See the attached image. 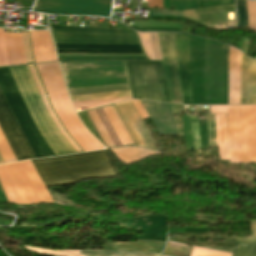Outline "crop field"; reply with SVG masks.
<instances>
[{"label":"crop field","instance_id":"obj_1","mask_svg":"<svg viewBox=\"0 0 256 256\" xmlns=\"http://www.w3.org/2000/svg\"><path fill=\"white\" fill-rule=\"evenodd\" d=\"M31 162L45 187L70 185L91 178L119 177L107 150Z\"/></svg>","mask_w":256,"mask_h":256},{"label":"crop field","instance_id":"obj_2","mask_svg":"<svg viewBox=\"0 0 256 256\" xmlns=\"http://www.w3.org/2000/svg\"><path fill=\"white\" fill-rule=\"evenodd\" d=\"M33 67V66H32ZM32 67L30 66V70L31 73L33 75V78L35 80V83L37 85L38 91L40 93V96L42 98V101L44 103V106L47 110V112L49 113L50 117L52 118V120L54 121L55 125L57 126V128L59 129L60 133L64 136V138L69 142V144L74 148V150L76 152H79V148L78 146L69 138V136L64 132L62 126L60 125L59 121L57 120L55 114L53 113L48 100L46 98V95L43 91V88L41 86V83L38 79H37L40 83V86L42 88V91L45 95V98L47 100V103L52 111V113L54 114L56 120L58 121L59 125L61 126L63 132L68 136V138L77 146H76L67 138V136L62 132L61 128L59 127L57 121L55 120L54 116L52 115L46 100L44 98V95L41 91V88L39 86V83L36 79V76L34 74V71L32 69ZM28 67L26 66H17V67H9V70L14 78V81L19 89V92L35 122V124L37 125L41 135L43 136V138L45 139V141L48 143V145L50 146V148L52 149V151L55 153L56 156H61V155H67V154H73L75 151L73 150V148L68 144V142L63 138V136L59 133V131L57 130L56 126L54 125V123L52 122L51 118L49 117V115L47 114L43 103L41 101V98L39 96V93L37 91L36 85L34 83V80L32 78V75L30 73ZM81 151V150H80Z\"/></svg>","mask_w":256,"mask_h":256},{"label":"crop field","instance_id":"obj_3","mask_svg":"<svg viewBox=\"0 0 256 256\" xmlns=\"http://www.w3.org/2000/svg\"><path fill=\"white\" fill-rule=\"evenodd\" d=\"M0 89L27 138L36 158L53 157L54 154L40 135L13 82L8 67L0 68Z\"/></svg>","mask_w":256,"mask_h":256},{"label":"crop field","instance_id":"obj_4","mask_svg":"<svg viewBox=\"0 0 256 256\" xmlns=\"http://www.w3.org/2000/svg\"><path fill=\"white\" fill-rule=\"evenodd\" d=\"M133 99L169 101L161 62H126Z\"/></svg>","mask_w":256,"mask_h":256},{"label":"crop field","instance_id":"obj_5","mask_svg":"<svg viewBox=\"0 0 256 256\" xmlns=\"http://www.w3.org/2000/svg\"><path fill=\"white\" fill-rule=\"evenodd\" d=\"M55 43L139 44L131 30L50 26Z\"/></svg>","mask_w":256,"mask_h":256},{"label":"crop field","instance_id":"obj_6","mask_svg":"<svg viewBox=\"0 0 256 256\" xmlns=\"http://www.w3.org/2000/svg\"><path fill=\"white\" fill-rule=\"evenodd\" d=\"M110 113L112 114L115 122L117 123L119 129L123 130V132L125 133L130 145H134L132 139L130 138L128 132L126 131L124 125L122 124L121 120L119 119L117 113L115 112L113 106H111V109L116 117H114L110 107H108ZM107 107L104 108H100V109H96V110H92V111H88V112H84V113H80V117L82 118V120L85 122V124L87 125V127L89 128V130L94 133L106 146H122V145H127L128 141L124 135V133L120 132V130L118 129L116 123L114 122L111 114L109 113ZM128 143V145H129Z\"/></svg>","mask_w":256,"mask_h":256},{"label":"crop field","instance_id":"obj_7","mask_svg":"<svg viewBox=\"0 0 256 256\" xmlns=\"http://www.w3.org/2000/svg\"><path fill=\"white\" fill-rule=\"evenodd\" d=\"M6 167L18 185L27 204L53 202L30 160L7 164Z\"/></svg>","mask_w":256,"mask_h":256},{"label":"crop field","instance_id":"obj_8","mask_svg":"<svg viewBox=\"0 0 256 256\" xmlns=\"http://www.w3.org/2000/svg\"><path fill=\"white\" fill-rule=\"evenodd\" d=\"M111 0H39L33 11L109 17Z\"/></svg>","mask_w":256,"mask_h":256},{"label":"crop field","instance_id":"obj_9","mask_svg":"<svg viewBox=\"0 0 256 256\" xmlns=\"http://www.w3.org/2000/svg\"><path fill=\"white\" fill-rule=\"evenodd\" d=\"M0 128L17 161L35 158L1 91Z\"/></svg>","mask_w":256,"mask_h":256},{"label":"crop field","instance_id":"obj_10","mask_svg":"<svg viewBox=\"0 0 256 256\" xmlns=\"http://www.w3.org/2000/svg\"><path fill=\"white\" fill-rule=\"evenodd\" d=\"M116 107L131 135L133 136L137 146L159 151L150 132L131 101L116 104Z\"/></svg>","mask_w":256,"mask_h":256},{"label":"crop field","instance_id":"obj_11","mask_svg":"<svg viewBox=\"0 0 256 256\" xmlns=\"http://www.w3.org/2000/svg\"><path fill=\"white\" fill-rule=\"evenodd\" d=\"M122 90H129L127 85H120V86H106V87H94V88H84V89H74L70 90L72 95H79V94H90V93H100V92H111V91H122ZM129 93V91H122V92H111V93H101V94H90V95H79V96H72V98L77 97H89V96H100V95H112V94H124ZM130 96L129 94L124 95H112V96H101V97H89V98H77L74 99V102L77 101H87V100H97V99H106V98H116V97H126ZM126 98H116V99H106V100H97V101H87V102H77L73 103L76 110H81L89 107H94L102 104H107L115 101H120Z\"/></svg>","mask_w":256,"mask_h":256},{"label":"crop field","instance_id":"obj_12","mask_svg":"<svg viewBox=\"0 0 256 256\" xmlns=\"http://www.w3.org/2000/svg\"><path fill=\"white\" fill-rule=\"evenodd\" d=\"M160 135H178L170 104L141 101Z\"/></svg>","mask_w":256,"mask_h":256},{"label":"crop field","instance_id":"obj_13","mask_svg":"<svg viewBox=\"0 0 256 256\" xmlns=\"http://www.w3.org/2000/svg\"><path fill=\"white\" fill-rule=\"evenodd\" d=\"M26 63L33 62L28 35L21 34ZM8 65L25 64L20 34L4 33Z\"/></svg>","mask_w":256,"mask_h":256},{"label":"crop field","instance_id":"obj_14","mask_svg":"<svg viewBox=\"0 0 256 256\" xmlns=\"http://www.w3.org/2000/svg\"><path fill=\"white\" fill-rule=\"evenodd\" d=\"M159 34H170V33H157V35H158V40H159V44H160L162 58H163V53H164L165 63H166V57H167V63H168V68H169V73H170V78H171L174 98H175V100L180 101L172 37L171 36H163L164 45H165V51H166V57H165V51H164L162 35H160V37H161V42H162V47H163V53H162V48H161V42H160ZM174 42H175V37H174ZM175 50H176V45H175ZM164 58H163V63H164ZM176 58H177V53H176ZM165 63H164V69H165V74H166V79H167V85H168V90H169V95H170V101L172 103V99H173V102H177V101H174V98H173V93H172V88H171V83H170L167 63H166V68H167V73H168V78H169V84H170V89H171V94H172V99H171V94H170V89H169V84H168V78H167ZM177 66H178V61H177ZM178 74H179V69H178ZM179 82H180V77H179ZM180 90H181V85H180ZM181 98H182V93H181ZM177 103H181V102H177ZM182 104H183V101H182Z\"/></svg>","mask_w":256,"mask_h":256},{"label":"crop field","instance_id":"obj_15","mask_svg":"<svg viewBox=\"0 0 256 256\" xmlns=\"http://www.w3.org/2000/svg\"><path fill=\"white\" fill-rule=\"evenodd\" d=\"M175 37H176L183 101H184V104L186 105H192L186 35L175 34Z\"/></svg>","mask_w":256,"mask_h":256},{"label":"crop field","instance_id":"obj_16","mask_svg":"<svg viewBox=\"0 0 256 256\" xmlns=\"http://www.w3.org/2000/svg\"><path fill=\"white\" fill-rule=\"evenodd\" d=\"M241 52L229 46V104H239Z\"/></svg>","mask_w":256,"mask_h":256},{"label":"crop field","instance_id":"obj_17","mask_svg":"<svg viewBox=\"0 0 256 256\" xmlns=\"http://www.w3.org/2000/svg\"><path fill=\"white\" fill-rule=\"evenodd\" d=\"M31 251L53 256H158L156 253H143V252H112V251H99V250H71V251H55L50 249L36 248L25 246Z\"/></svg>","mask_w":256,"mask_h":256},{"label":"crop field","instance_id":"obj_18","mask_svg":"<svg viewBox=\"0 0 256 256\" xmlns=\"http://www.w3.org/2000/svg\"><path fill=\"white\" fill-rule=\"evenodd\" d=\"M165 242L137 240V243L106 242L103 249L162 252Z\"/></svg>","mask_w":256,"mask_h":256},{"label":"crop field","instance_id":"obj_19","mask_svg":"<svg viewBox=\"0 0 256 256\" xmlns=\"http://www.w3.org/2000/svg\"><path fill=\"white\" fill-rule=\"evenodd\" d=\"M0 185L9 203L26 204L5 165L0 166Z\"/></svg>","mask_w":256,"mask_h":256},{"label":"crop field","instance_id":"obj_20","mask_svg":"<svg viewBox=\"0 0 256 256\" xmlns=\"http://www.w3.org/2000/svg\"><path fill=\"white\" fill-rule=\"evenodd\" d=\"M234 9V5L199 9L200 22L236 21L235 15L234 20H228L227 16Z\"/></svg>","mask_w":256,"mask_h":256},{"label":"crop field","instance_id":"obj_21","mask_svg":"<svg viewBox=\"0 0 256 256\" xmlns=\"http://www.w3.org/2000/svg\"><path fill=\"white\" fill-rule=\"evenodd\" d=\"M57 49L141 51L139 45L55 44Z\"/></svg>","mask_w":256,"mask_h":256},{"label":"crop field","instance_id":"obj_22","mask_svg":"<svg viewBox=\"0 0 256 256\" xmlns=\"http://www.w3.org/2000/svg\"><path fill=\"white\" fill-rule=\"evenodd\" d=\"M111 150L117 158H119L121 161H123L127 165L133 162H136L142 158L148 157L150 155L159 154L156 152H151L141 148H133V147L118 148V149H111Z\"/></svg>","mask_w":256,"mask_h":256},{"label":"crop field","instance_id":"obj_23","mask_svg":"<svg viewBox=\"0 0 256 256\" xmlns=\"http://www.w3.org/2000/svg\"><path fill=\"white\" fill-rule=\"evenodd\" d=\"M216 122L219 160H229L226 135V114L216 115Z\"/></svg>","mask_w":256,"mask_h":256},{"label":"crop field","instance_id":"obj_24","mask_svg":"<svg viewBox=\"0 0 256 256\" xmlns=\"http://www.w3.org/2000/svg\"><path fill=\"white\" fill-rule=\"evenodd\" d=\"M207 249L218 250L226 253L233 254V256H256V243L246 245L239 243L237 247H207Z\"/></svg>","mask_w":256,"mask_h":256},{"label":"crop field","instance_id":"obj_25","mask_svg":"<svg viewBox=\"0 0 256 256\" xmlns=\"http://www.w3.org/2000/svg\"><path fill=\"white\" fill-rule=\"evenodd\" d=\"M247 104H256V60L249 59Z\"/></svg>","mask_w":256,"mask_h":256},{"label":"crop field","instance_id":"obj_26","mask_svg":"<svg viewBox=\"0 0 256 256\" xmlns=\"http://www.w3.org/2000/svg\"><path fill=\"white\" fill-rule=\"evenodd\" d=\"M60 61L146 60L145 57H58Z\"/></svg>","mask_w":256,"mask_h":256},{"label":"crop field","instance_id":"obj_27","mask_svg":"<svg viewBox=\"0 0 256 256\" xmlns=\"http://www.w3.org/2000/svg\"><path fill=\"white\" fill-rule=\"evenodd\" d=\"M248 58L242 54L240 104H246Z\"/></svg>","mask_w":256,"mask_h":256},{"label":"crop field","instance_id":"obj_28","mask_svg":"<svg viewBox=\"0 0 256 256\" xmlns=\"http://www.w3.org/2000/svg\"><path fill=\"white\" fill-rule=\"evenodd\" d=\"M237 8V27L248 29V19L245 0H235Z\"/></svg>","mask_w":256,"mask_h":256},{"label":"crop field","instance_id":"obj_29","mask_svg":"<svg viewBox=\"0 0 256 256\" xmlns=\"http://www.w3.org/2000/svg\"><path fill=\"white\" fill-rule=\"evenodd\" d=\"M0 155L4 163L16 161L10 147L8 146L3 134L0 131Z\"/></svg>","mask_w":256,"mask_h":256},{"label":"crop field","instance_id":"obj_30","mask_svg":"<svg viewBox=\"0 0 256 256\" xmlns=\"http://www.w3.org/2000/svg\"><path fill=\"white\" fill-rule=\"evenodd\" d=\"M209 147L217 146L215 115L207 116Z\"/></svg>","mask_w":256,"mask_h":256},{"label":"crop field","instance_id":"obj_31","mask_svg":"<svg viewBox=\"0 0 256 256\" xmlns=\"http://www.w3.org/2000/svg\"><path fill=\"white\" fill-rule=\"evenodd\" d=\"M198 8L197 0H172L171 9L187 10Z\"/></svg>","mask_w":256,"mask_h":256},{"label":"crop field","instance_id":"obj_32","mask_svg":"<svg viewBox=\"0 0 256 256\" xmlns=\"http://www.w3.org/2000/svg\"><path fill=\"white\" fill-rule=\"evenodd\" d=\"M247 9H248V18H249V29L256 31V1H248Z\"/></svg>","mask_w":256,"mask_h":256},{"label":"crop field","instance_id":"obj_33","mask_svg":"<svg viewBox=\"0 0 256 256\" xmlns=\"http://www.w3.org/2000/svg\"><path fill=\"white\" fill-rule=\"evenodd\" d=\"M190 121H191V129H192V136H193V142H194V150H198V149H201L198 119L196 120L195 117H192L190 118Z\"/></svg>","mask_w":256,"mask_h":256},{"label":"crop field","instance_id":"obj_34","mask_svg":"<svg viewBox=\"0 0 256 256\" xmlns=\"http://www.w3.org/2000/svg\"><path fill=\"white\" fill-rule=\"evenodd\" d=\"M251 229L250 231L253 232V235L248 238H237L233 237L228 241H234V242H244V243H253L256 242V221L250 220Z\"/></svg>","mask_w":256,"mask_h":256},{"label":"crop field","instance_id":"obj_35","mask_svg":"<svg viewBox=\"0 0 256 256\" xmlns=\"http://www.w3.org/2000/svg\"><path fill=\"white\" fill-rule=\"evenodd\" d=\"M57 53H142V52L57 50Z\"/></svg>","mask_w":256,"mask_h":256},{"label":"crop field","instance_id":"obj_36","mask_svg":"<svg viewBox=\"0 0 256 256\" xmlns=\"http://www.w3.org/2000/svg\"><path fill=\"white\" fill-rule=\"evenodd\" d=\"M60 56H144L143 54H60Z\"/></svg>","mask_w":256,"mask_h":256},{"label":"crop field","instance_id":"obj_37","mask_svg":"<svg viewBox=\"0 0 256 256\" xmlns=\"http://www.w3.org/2000/svg\"><path fill=\"white\" fill-rule=\"evenodd\" d=\"M153 45L155 60H161L156 33H149Z\"/></svg>","mask_w":256,"mask_h":256},{"label":"crop field","instance_id":"obj_38","mask_svg":"<svg viewBox=\"0 0 256 256\" xmlns=\"http://www.w3.org/2000/svg\"><path fill=\"white\" fill-rule=\"evenodd\" d=\"M132 101H133L135 107L137 108L139 114L142 116V118L148 115V114L146 115V113H145V111H144L145 109L143 110V108H142V106L140 105L139 101H136V100H132ZM147 117H148V116H147ZM145 118H146V117H145ZM143 119H144V118H143Z\"/></svg>","mask_w":256,"mask_h":256},{"label":"crop field","instance_id":"obj_39","mask_svg":"<svg viewBox=\"0 0 256 256\" xmlns=\"http://www.w3.org/2000/svg\"><path fill=\"white\" fill-rule=\"evenodd\" d=\"M149 8H163L162 0H149Z\"/></svg>","mask_w":256,"mask_h":256},{"label":"crop field","instance_id":"obj_40","mask_svg":"<svg viewBox=\"0 0 256 256\" xmlns=\"http://www.w3.org/2000/svg\"><path fill=\"white\" fill-rule=\"evenodd\" d=\"M174 119H175L176 124H177V128H178V133H179V135H184V134H183V129H182L181 117H177V118H174Z\"/></svg>","mask_w":256,"mask_h":256},{"label":"crop field","instance_id":"obj_41","mask_svg":"<svg viewBox=\"0 0 256 256\" xmlns=\"http://www.w3.org/2000/svg\"><path fill=\"white\" fill-rule=\"evenodd\" d=\"M173 113H179V112H184L183 106L182 105H176V104H171Z\"/></svg>","mask_w":256,"mask_h":256},{"label":"crop field","instance_id":"obj_42","mask_svg":"<svg viewBox=\"0 0 256 256\" xmlns=\"http://www.w3.org/2000/svg\"><path fill=\"white\" fill-rule=\"evenodd\" d=\"M192 248L202 249V248H198V247H194V246H192ZM202 250H207V249H202ZM208 251H213V250H208ZM213 252H218V251H213ZM218 253H222V252H218ZM224 254H226V253H224Z\"/></svg>","mask_w":256,"mask_h":256},{"label":"crop field","instance_id":"obj_43","mask_svg":"<svg viewBox=\"0 0 256 256\" xmlns=\"http://www.w3.org/2000/svg\"><path fill=\"white\" fill-rule=\"evenodd\" d=\"M169 243H173V244H177V245H181V246H185V245H182V244H178V243H174V242H170ZM186 247V246H185Z\"/></svg>","mask_w":256,"mask_h":256},{"label":"crop field","instance_id":"obj_44","mask_svg":"<svg viewBox=\"0 0 256 256\" xmlns=\"http://www.w3.org/2000/svg\"><path fill=\"white\" fill-rule=\"evenodd\" d=\"M1 163H3V161H2V159H1V157H0V164H1Z\"/></svg>","mask_w":256,"mask_h":256},{"label":"crop field","instance_id":"obj_45","mask_svg":"<svg viewBox=\"0 0 256 256\" xmlns=\"http://www.w3.org/2000/svg\"><path fill=\"white\" fill-rule=\"evenodd\" d=\"M161 256H165V255H161Z\"/></svg>","mask_w":256,"mask_h":256}]
</instances>
